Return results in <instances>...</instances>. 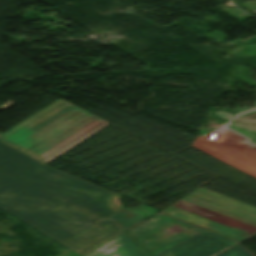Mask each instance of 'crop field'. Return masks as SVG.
Returning <instances> with one entry per match:
<instances>
[{"instance_id": "1", "label": "crop field", "mask_w": 256, "mask_h": 256, "mask_svg": "<svg viewBox=\"0 0 256 256\" xmlns=\"http://www.w3.org/2000/svg\"><path fill=\"white\" fill-rule=\"evenodd\" d=\"M108 124L59 99L0 135V209L60 244L122 209L119 195L46 165Z\"/></svg>"}, {"instance_id": "2", "label": "crop field", "mask_w": 256, "mask_h": 256, "mask_svg": "<svg viewBox=\"0 0 256 256\" xmlns=\"http://www.w3.org/2000/svg\"><path fill=\"white\" fill-rule=\"evenodd\" d=\"M144 219L146 218L137 212L125 208L62 245L85 256Z\"/></svg>"}, {"instance_id": "3", "label": "crop field", "mask_w": 256, "mask_h": 256, "mask_svg": "<svg viewBox=\"0 0 256 256\" xmlns=\"http://www.w3.org/2000/svg\"><path fill=\"white\" fill-rule=\"evenodd\" d=\"M175 223L181 225L179 227L185 230L176 235H172V233L164 238H161L159 236L168 231L164 233L160 232L156 235H153ZM201 230L203 229L196 228L190 224L160 213L144 221L143 223L139 224L138 226L126 233L153 256L163 251L164 249L196 234Z\"/></svg>"}, {"instance_id": "4", "label": "crop field", "mask_w": 256, "mask_h": 256, "mask_svg": "<svg viewBox=\"0 0 256 256\" xmlns=\"http://www.w3.org/2000/svg\"><path fill=\"white\" fill-rule=\"evenodd\" d=\"M236 243L204 230L155 256H211Z\"/></svg>"}, {"instance_id": "5", "label": "crop field", "mask_w": 256, "mask_h": 256, "mask_svg": "<svg viewBox=\"0 0 256 256\" xmlns=\"http://www.w3.org/2000/svg\"><path fill=\"white\" fill-rule=\"evenodd\" d=\"M199 189H200V188H199ZM194 193L199 194V195L204 196V197H207V198H209V199L215 200V201H217V202L226 204V205H228V206L234 207V208H236V209L242 210V211H244V212L253 214V215L256 216V209H253V208H250V207H248V206L242 205V204H240V203L231 201V200H229V199L223 198V197H221V196L215 195V194L210 193V192H207V191H205V190L200 189V190H198V191H196V192H194ZM194 193H192V194H190V195L184 197L183 200L189 201V202H191V203L200 205V206H202V207L211 209V210H213V211L222 213V214H224V215L233 217V218H235V219H238V220H241V221H244V222H246V223H249V224H252V225H255V226H256V223H254V222L248 221V220H246V219L240 218V217H238V216L232 215V214H230V213L224 212V211H222V210H219V209H216V208H214V207L208 206V205H206V204L200 203V202H198V201L192 200V199H190V198H188V197L191 196V197H193V198L199 199V200H201V201L207 202V203H209V204L215 205V206H217V207L223 208V209H225V210L231 211V212H233V213L239 214V215H241V216L247 217V218L252 219V220H255V221H256V217L251 216V215H248V214H245V213H242V212H240V211H237V210H234V209H231V208H228V207H226V206H223V205L214 203V202H212V201H209V200L200 198V197H198V196L193 195Z\"/></svg>"}, {"instance_id": "6", "label": "crop field", "mask_w": 256, "mask_h": 256, "mask_svg": "<svg viewBox=\"0 0 256 256\" xmlns=\"http://www.w3.org/2000/svg\"><path fill=\"white\" fill-rule=\"evenodd\" d=\"M87 256H150L124 233Z\"/></svg>"}, {"instance_id": "7", "label": "crop field", "mask_w": 256, "mask_h": 256, "mask_svg": "<svg viewBox=\"0 0 256 256\" xmlns=\"http://www.w3.org/2000/svg\"><path fill=\"white\" fill-rule=\"evenodd\" d=\"M162 213H165V214H168V215H171V216H174V217H177V218L189 221V222H191L193 224H196L198 226H202V227H204L206 229H209L211 231L217 232V233L222 234L224 236H227L229 238L235 239V240H237L239 242H241V241L251 237L249 235H246V234L238 232L236 230L227 228L225 226L219 225V224L214 223V222L210 223L208 221H199L200 219L197 220V219L191 217L190 213L182 211V210L177 209V208H174L172 206L168 207ZM236 233H240V234L238 235Z\"/></svg>"}, {"instance_id": "8", "label": "crop field", "mask_w": 256, "mask_h": 256, "mask_svg": "<svg viewBox=\"0 0 256 256\" xmlns=\"http://www.w3.org/2000/svg\"><path fill=\"white\" fill-rule=\"evenodd\" d=\"M232 123L253 131H256V114L235 118Z\"/></svg>"}, {"instance_id": "9", "label": "crop field", "mask_w": 256, "mask_h": 256, "mask_svg": "<svg viewBox=\"0 0 256 256\" xmlns=\"http://www.w3.org/2000/svg\"><path fill=\"white\" fill-rule=\"evenodd\" d=\"M217 256H254L240 244Z\"/></svg>"}, {"instance_id": "10", "label": "crop field", "mask_w": 256, "mask_h": 256, "mask_svg": "<svg viewBox=\"0 0 256 256\" xmlns=\"http://www.w3.org/2000/svg\"><path fill=\"white\" fill-rule=\"evenodd\" d=\"M135 211H137L138 213L142 214L145 217H150L159 212L158 210H156L148 205L141 206V207L135 209Z\"/></svg>"}, {"instance_id": "11", "label": "crop field", "mask_w": 256, "mask_h": 256, "mask_svg": "<svg viewBox=\"0 0 256 256\" xmlns=\"http://www.w3.org/2000/svg\"><path fill=\"white\" fill-rule=\"evenodd\" d=\"M214 114L223 120H230L235 116V114H231V113L224 112V111H216Z\"/></svg>"}]
</instances>
